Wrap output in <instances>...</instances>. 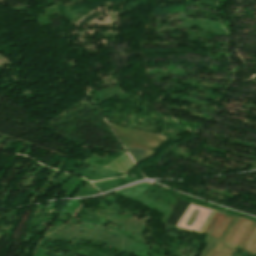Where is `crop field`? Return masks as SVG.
<instances>
[{
	"label": "crop field",
	"instance_id": "1",
	"mask_svg": "<svg viewBox=\"0 0 256 256\" xmlns=\"http://www.w3.org/2000/svg\"><path fill=\"white\" fill-rule=\"evenodd\" d=\"M216 212L211 211L210 215L208 216L206 222L204 223L203 227L201 228L200 232H204V230L206 229L207 225L209 224V222L211 221V219L213 218V216L215 215ZM199 232V231H198Z\"/></svg>",
	"mask_w": 256,
	"mask_h": 256
}]
</instances>
